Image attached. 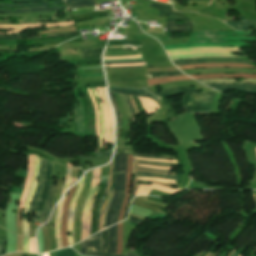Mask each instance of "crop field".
I'll return each instance as SVG.
<instances>
[{"label":"crop field","instance_id":"obj_1","mask_svg":"<svg viewBox=\"0 0 256 256\" xmlns=\"http://www.w3.org/2000/svg\"><path fill=\"white\" fill-rule=\"evenodd\" d=\"M252 31H232V32H192L188 43H178L172 45H165V50L172 48L184 47H203V46H248L244 42H220L233 40L256 41L255 37H223L232 35H250ZM198 41H213L206 43H198Z\"/></svg>","mask_w":256,"mask_h":256},{"label":"crop field","instance_id":"obj_2","mask_svg":"<svg viewBox=\"0 0 256 256\" xmlns=\"http://www.w3.org/2000/svg\"><path fill=\"white\" fill-rule=\"evenodd\" d=\"M215 92L184 94L183 107L188 113L208 115Z\"/></svg>","mask_w":256,"mask_h":256},{"label":"crop field","instance_id":"obj_3","mask_svg":"<svg viewBox=\"0 0 256 256\" xmlns=\"http://www.w3.org/2000/svg\"><path fill=\"white\" fill-rule=\"evenodd\" d=\"M119 180H120V173L112 175V184H111V188H110V197H109V201L107 203V206L104 210L102 229L104 228L105 224H106V227L110 226L111 217H112L113 210H114L115 203H116L117 196H118Z\"/></svg>","mask_w":256,"mask_h":256},{"label":"crop field","instance_id":"obj_4","mask_svg":"<svg viewBox=\"0 0 256 256\" xmlns=\"http://www.w3.org/2000/svg\"><path fill=\"white\" fill-rule=\"evenodd\" d=\"M109 91L124 94L126 101L128 103V107H129L132 118L134 117V112L132 110L130 100L126 95L147 97V98L156 99V100H160V101L163 99V98L153 94L148 89H130V88L109 87Z\"/></svg>","mask_w":256,"mask_h":256},{"label":"crop field","instance_id":"obj_5","mask_svg":"<svg viewBox=\"0 0 256 256\" xmlns=\"http://www.w3.org/2000/svg\"><path fill=\"white\" fill-rule=\"evenodd\" d=\"M39 160H40V157L35 155V164H34L35 173H34L33 183L31 185V189H30V192H29L27 203H26V206H25V209H24V212H23V234H24L25 237H29V231H28V222L24 218V214L29 211L30 202L32 200V197H33L35 189H36Z\"/></svg>","mask_w":256,"mask_h":256},{"label":"crop field","instance_id":"obj_6","mask_svg":"<svg viewBox=\"0 0 256 256\" xmlns=\"http://www.w3.org/2000/svg\"><path fill=\"white\" fill-rule=\"evenodd\" d=\"M84 179L82 178L79 182H78V190L73 198V200L71 201L70 205H69V210H68V220H67V229L68 232L72 231L71 235L68 236V246L73 244V219H74V208H75V204H76V200L82 190L83 187V183H84Z\"/></svg>","mask_w":256,"mask_h":256},{"label":"crop field","instance_id":"obj_7","mask_svg":"<svg viewBox=\"0 0 256 256\" xmlns=\"http://www.w3.org/2000/svg\"><path fill=\"white\" fill-rule=\"evenodd\" d=\"M150 6L159 9V16L161 17L169 16L168 21H171V22L189 21V19H187L181 13L172 12L171 6L169 5L152 3Z\"/></svg>","mask_w":256,"mask_h":256},{"label":"crop field","instance_id":"obj_8","mask_svg":"<svg viewBox=\"0 0 256 256\" xmlns=\"http://www.w3.org/2000/svg\"><path fill=\"white\" fill-rule=\"evenodd\" d=\"M46 162L47 161L44 160V159L41 160L39 184L37 186V190H36V193L34 195V199H33V202H32L31 209H30L29 217H31L32 213L35 212L36 209H37V205H38V202H39V199H40V194H41V191H42L43 182H44L45 174H46Z\"/></svg>","mask_w":256,"mask_h":256},{"label":"crop field","instance_id":"obj_9","mask_svg":"<svg viewBox=\"0 0 256 256\" xmlns=\"http://www.w3.org/2000/svg\"><path fill=\"white\" fill-rule=\"evenodd\" d=\"M212 88H215L219 91H226V90H238L248 93L256 94V84H219V85H208ZM253 89L252 91H249V89Z\"/></svg>","mask_w":256,"mask_h":256},{"label":"crop field","instance_id":"obj_10","mask_svg":"<svg viewBox=\"0 0 256 256\" xmlns=\"http://www.w3.org/2000/svg\"><path fill=\"white\" fill-rule=\"evenodd\" d=\"M175 65L179 64H191V63H203V62H243L251 63L245 60H239L235 58H211V59H187V60H178L173 61Z\"/></svg>","mask_w":256,"mask_h":256},{"label":"crop field","instance_id":"obj_11","mask_svg":"<svg viewBox=\"0 0 256 256\" xmlns=\"http://www.w3.org/2000/svg\"><path fill=\"white\" fill-rule=\"evenodd\" d=\"M13 2H35V1H45L41 3H32V4H9V3H0V7H40L47 6L50 4H59L64 3L63 0L55 1L54 3H48L47 0H11Z\"/></svg>","mask_w":256,"mask_h":256},{"label":"crop field","instance_id":"obj_12","mask_svg":"<svg viewBox=\"0 0 256 256\" xmlns=\"http://www.w3.org/2000/svg\"><path fill=\"white\" fill-rule=\"evenodd\" d=\"M33 163H34V155H29L28 175H27V180H26V184H25V189H24L22 198L20 200L21 205H19V207L22 208V209L24 207V203H25V200H26V197H27V193H28V190L30 188L31 181H32V178H33V172H34Z\"/></svg>","mask_w":256,"mask_h":256},{"label":"crop field","instance_id":"obj_13","mask_svg":"<svg viewBox=\"0 0 256 256\" xmlns=\"http://www.w3.org/2000/svg\"><path fill=\"white\" fill-rule=\"evenodd\" d=\"M52 165H53V163L48 161V163H47V175H46V180H45V184H44L42 196H41V199H40V202H39V206H38V209H37V210H40V211L43 210V206H44V203H45V199H46V196H47V192H48V189H49V187H50Z\"/></svg>","mask_w":256,"mask_h":256},{"label":"crop field","instance_id":"obj_14","mask_svg":"<svg viewBox=\"0 0 256 256\" xmlns=\"http://www.w3.org/2000/svg\"><path fill=\"white\" fill-rule=\"evenodd\" d=\"M125 181H126V174L121 173L120 191H119L118 200H117L116 207H115L114 214H113V218H112V224L117 222V216H118L121 204L123 202V197H124Z\"/></svg>","mask_w":256,"mask_h":256},{"label":"crop field","instance_id":"obj_15","mask_svg":"<svg viewBox=\"0 0 256 256\" xmlns=\"http://www.w3.org/2000/svg\"><path fill=\"white\" fill-rule=\"evenodd\" d=\"M192 26V22L167 23L166 30L167 32H189L192 31Z\"/></svg>","mask_w":256,"mask_h":256},{"label":"crop field","instance_id":"obj_16","mask_svg":"<svg viewBox=\"0 0 256 256\" xmlns=\"http://www.w3.org/2000/svg\"><path fill=\"white\" fill-rule=\"evenodd\" d=\"M97 89H98L99 96L101 97V99L103 101V109H104V117H105V129H106V132H105V135H104V139H105V143H108V139H109L108 107H107V104H106V101H105V98H104V95H103L101 87H98ZM105 143H104V147L103 148H107Z\"/></svg>","mask_w":256,"mask_h":256},{"label":"crop field","instance_id":"obj_17","mask_svg":"<svg viewBox=\"0 0 256 256\" xmlns=\"http://www.w3.org/2000/svg\"><path fill=\"white\" fill-rule=\"evenodd\" d=\"M194 91H196V90L192 89L191 86H186V87L167 89V90H164L162 93H158V94H160L161 96L167 98L169 96L176 95V94H179V93L194 92Z\"/></svg>","mask_w":256,"mask_h":256},{"label":"crop field","instance_id":"obj_18","mask_svg":"<svg viewBox=\"0 0 256 256\" xmlns=\"http://www.w3.org/2000/svg\"><path fill=\"white\" fill-rule=\"evenodd\" d=\"M66 10V6H53V7H47V8H31V9H15L13 11L8 10H0V12H35V11H55L60 9Z\"/></svg>","mask_w":256,"mask_h":256},{"label":"crop field","instance_id":"obj_19","mask_svg":"<svg viewBox=\"0 0 256 256\" xmlns=\"http://www.w3.org/2000/svg\"><path fill=\"white\" fill-rule=\"evenodd\" d=\"M55 189H56L55 186L50 187V190H49V193H48V196H47V200H46V204H45V207H44V210H43L42 218H41L43 223L48 218V214H49V210H50V206H51V202H52V198H53V194H54Z\"/></svg>","mask_w":256,"mask_h":256},{"label":"crop field","instance_id":"obj_20","mask_svg":"<svg viewBox=\"0 0 256 256\" xmlns=\"http://www.w3.org/2000/svg\"><path fill=\"white\" fill-rule=\"evenodd\" d=\"M139 100L141 101L143 107H144V110L146 111V113L149 115L151 113H154L155 109L154 108H158L160 109L159 105L151 100V99H147V98H141V97H138Z\"/></svg>","mask_w":256,"mask_h":256},{"label":"crop field","instance_id":"obj_21","mask_svg":"<svg viewBox=\"0 0 256 256\" xmlns=\"http://www.w3.org/2000/svg\"><path fill=\"white\" fill-rule=\"evenodd\" d=\"M103 49H82L78 50L81 57L85 58H99Z\"/></svg>","mask_w":256,"mask_h":256},{"label":"crop field","instance_id":"obj_22","mask_svg":"<svg viewBox=\"0 0 256 256\" xmlns=\"http://www.w3.org/2000/svg\"><path fill=\"white\" fill-rule=\"evenodd\" d=\"M202 83H256V79H246L235 82L233 79L198 80Z\"/></svg>","mask_w":256,"mask_h":256},{"label":"crop field","instance_id":"obj_23","mask_svg":"<svg viewBox=\"0 0 256 256\" xmlns=\"http://www.w3.org/2000/svg\"><path fill=\"white\" fill-rule=\"evenodd\" d=\"M224 22L226 24H228L229 26H231L232 28L237 29V30H245V29H247V26L256 24V21H240V22L224 21Z\"/></svg>","mask_w":256,"mask_h":256},{"label":"crop field","instance_id":"obj_24","mask_svg":"<svg viewBox=\"0 0 256 256\" xmlns=\"http://www.w3.org/2000/svg\"><path fill=\"white\" fill-rule=\"evenodd\" d=\"M88 90V94L94 104V110H95V117H96V128H97V135L96 136H99L100 135V127H99V108L97 106V103L95 101V98L93 96V93L91 91V89H87Z\"/></svg>","mask_w":256,"mask_h":256},{"label":"crop field","instance_id":"obj_25","mask_svg":"<svg viewBox=\"0 0 256 256\" xmlns=\"http://www.w3.org/2000/svg\"><path fill=\"white\" fill-rule=\"evenodd\" d=\"M106 97V101L109 107V113H110V125H111V135H110V144L113 145L114 143V137H113V129H114V118H113V114H112V110H111V106L109 104V100H108V96H107V92L105 88H102Z\"/></svg>","mask_w":256,"mask_h":256},{"label":"crop field","instance_id":"obj_26","mask_svg":"<svg viewBox=\"0 0 256 256\" xmlns=\"http://www.w3.org/2000/svg\"><path fill=\"white\" fill-rule=\"evenodd\" d=\"M93 91L95 93V96L97 98H99L95 88H93ZM99 107H100V116H101V136H99V147L102 148L103 133H104V118H103V112H102V108H101V100H100V98H99Z\"/></svg>","mask_w":256,"mask_h":256},{"label":"crop field","instance_id":"obj_27","mask_svg":"<svg viewBox=\"0 0 256 256\" xmlns=\"http://www.w3.org/2000/svg\"><path fill=\"white\" fill-rule=\"evenodd\" d=\"M69 5V9H73V8H79V7H89V6H93L95 5L94 0H86V1H82V2H76V3H70L67 4Z\"/></svg>","mask_w":256,"mask_h":256},{"label":"crop field","instance_id":"obj_28","mask_svg":"<svg viewBox=\"0 0 256 256\" xmlns=\"http://www.w3.org/2000/svg\"><path fill=\"white\" fill-rule=\"evenodd\" d=\"M138 176L161 177V178H169V179L179 180L176 177V175H164V174L147 173V172H138Z\"/></svg>","mask_w":256,"mask_h":256},{"label":"crop field","instance_id":"obj_29","mask_svg":"<svg viewBox=\"0 0 256 256\" xmlns=\"http://www.w3.org/2000/svg\"><path fill=\"white\" fill-rule=\"evenodd\" d=\"M120 165H121V153L115 152L113 158V173L120 172Z\"/></svg>","mask_w":256,"mask_h":256},{"label":"crop field","instance_id":"obj_30","mask_svg":"<svg viewBox=\"0 0 256 256\" xmlns=\"http://www.w3.org/2000/svg\"><path fill=\"white\" fill-rule=\"evenodd\" d=\"M41 24L44 23H39V24H33L32 26H29L28 28H35V27H40ZM74 22H63V23H54V24H45L46 27H58V26H69V25H73Z\"/></svg>","mask_w":256,"mask_h":256},{"label":"crop field","instance_id":"obj_31","mask_svg":"<svg viewBox=\"0 0 256 256\" xmlns=\"http://www.w3.org/2000/svg\"><path fill=\"white\" fill-rule=\"evenodd\" d=\"M108 178L109 176H105V177H102L101 178V182H106V186H105V192H104V196L99 204V212H98V219H97V230H99V219H100V211H101V205H102V202L106 196V190H107V185H108Z\"/></svg>","mask_w":256,"mask_h":256},{"label":"crop field","instance_id":"obj_32","mask_svg":"<svg viewBox=\"0 0 256 256\" xmlns=\"http://www.w3.org/2000/svg\"><path fill=\"white\" fill-rule=\"evenodd\" d=\"M116 228H117V225L112 227V237H111L112 247H111L110 253H114V254L116 251V242H117Z\"/></svg>","mask_w":256,"mask_h":256},{"label":"crop field","instance_id":"obj_33","mask_svg":"<svg viewBox=\"0 0 256 256\" xmlns=\"http://www.w3.org/2000/svg\"><path fill=\"white\" fill-rule=\"evenodd\" d=\"M138 180L158 181V182H161V183H174L173 180L160 179V178H149V177H138Z\"/></svg>","mask_w":256,"mask_h":256},{"label":"crop field","instance_id":"obj_34","mask_svg":"<svg viewBox=\"0 0 256 256\" xmlns=\"http://www.w3.org/2000/svg\"><path fill=\"white\" fill-rule=\"evenodd\" d=\"M75 107V123H76V131L77 133L80 132L79 123H80V112L77 106V103H74Z\"/></svg>","mask_w":256,"mask_h":256},{"label":"crop field","instance_id":"obj_35","mask_svg":"<svg viewBox=\"0 0 256 256\" xmlns=\"http://www.w3.org/2000/svg\"><path fill=\"white\" fill-rule=\"evenodd\" d=\"M56 256H74V251L70 248L56 251Z\"/></svg>","mask_w":256,"mask_h":256},{"label":"crop field","instance_id":"obj_36","mask_svg":"<svg viewBox=\"0 0 256 256\" xmlns=\"http://www.w3.org/2000/svg\"><path fill=\"white\" fill-rule=\"evenodd\" d=\"M110 93V99L114 105V109H115V112L117 114V126H121V119H120V116H119V112H118V109H117V104H116V100L113 96V93L109 92Z\"/></svg>","mask_w":256,"mask_h":256},{"label":"crop field","instance_id":"obj_37","mask_svg":"<svg viewBox=\"0 0 256 256\" xmlns=\"http://www.w3.org/2000/svg\"><path fill=\"white\" fill-rule=\"evenodd\" d=\"M73 35H78V33L73 32V33H65V34H49L44 38H60V37H67V36H73ZM39 39H41V38H39Z\"/></svg>","mask_w":256,"mask_h":256},{"label":"crop field","instance_id":"obj_38","mask_svg":"<svg viewBox=\"0 0 256 256\" xmlns=\"http://www.w3.org/2000/svg\"><path fill=\"white\" fill-rule=\"evenodd\" d=\"M137 157L154 158V159H175L174 156H151V155H139L134 154Z\"/></svg>","mask_w":256,"mask_h":256},{"label":"crop field","instance_id":"obj_39","mask_svg":"<svg viewBox=\"0 0 256 256\" xmlns=\"http://www.w3.org/2000/svg\"><path fill=\"white\" fill-rule=\"evenodd\" d=\"M107 230L103 231L102 233V249L101 251L106 252L107 251Z\"/></svg>","mask_w":256,"mask_h":256},{"label":"crop field","instance_id":"obj_40","mask_svg":"<svg viewBox=\"0 0 256 256\" xmlns=\"http://www.w3.org/2000/svg\"><path fill=\"white\" fill-rule=\"evenodd\" d=\"M30 24L27 25H0V29H20V28H26Z\"/></svg>","mask_w":256,"mask_h":256},{"label":"crop field","instance_id":"obj_41","mask_svg":"<svg viewBox=\"0 0 256 256\" xmlns=\"http://www.w3.org/2000/svg\"><path fill=\"white\" fill-rule=\"evenodd\" d=\"M78 102H79V107H80V112H81V118H82V123H81V129H82V135L86 136L85 134V128H84V115H83V108L81 106L80 98L78 97Z\"/></svg>","mask_w":256,"mask_h":256},{"label":"crop field","instance_id":"obj_42","mask_svg":"<svg viewBox=\"0 0 256 256\" xmlns=\"http://www.w3.org/2000/svg\"><path fill=\"white\" fill-rule=\"evenodd\" d=\"M126 162H127V154L122 153L121 172H126Z\"/></svg>","mask_w":256,"mask_h":256},{"label":"crop field","instance_id":"obj_43","mask_svg":"<svg viewBox=\"0 0 256 256\" xmlns=\"http://www.w3.org/2000/svg\"><path fill=\"white\" fill-rule=\"evenodd\" d=\"M30 252L37 253L34 238H30Z\"/></svg>","mask_w":256,"mask_h":256},{"label":"crop field","instance_id":"obj_44","mask_svg":"<svg viewBox=\"0 0 256 256\" xmlns=\"http://www.w3.org/2000/svg\"><path fill=\"white\" fill-rule=\"evenodd\" d=\"M29 251V238H24V252Z\"/></svg>","mask_w":256,"mask_h":256},{"label":"crop field","instance_id":"obj_45","mask_svg":"<svg viewBox=\"0 0 256 256\" xmlns=\"http://www.w3.org/2000/svg\"><path fill=\"white\" fill-rule=\"evenodd\" d=\"M141 57V55L136 56H129V57H104V59H117V58H138Z\"/></svg>","mask_w":256,"mask_h":256},{"label":"crop field","instance_id":"obj_46","mask_svg":"<svg viewBox=\"0 0 256 256\" xmlns=\"http://www.w3.org/2000/svg\"><path fill=\"white\" fill-rule=\"evenodd\" d=\"M136 62H144L143 60H137V61H123V62H104V64L109 63H136Z\"/></svg>","mask_w":256,"mask_h":256},{"label":"crop field","instance_id":"obj_47","mask_svg":"<svg viewBox=\"0 0 256 256\" xmlns=\"http://www.w3.org/2000/svg\"><path fill=\"white\" fill-rule=\"evenodd\" d=\"M0 39H21L20 36H0Z\"/></svg>","mask_w":256,"mask_h":256},{"label":"crop field","instance_id":"obj_48","mask_svg":"<svg viewBox=\"0 0 256 256\" xmlns=\"http://www.w3.org/2000/svg\"><path fill=\"white\" fill-rule=\"evenodd\" d=\"M135 158V157H133ZM135 159H141V158H135ZM142 160H149V161H159V162H173V163H177L176 160L174 161H168V160H151V159H142Z\"/></svg>","mask_w":256,"mask_h":256},{"label":"crop field","instance_id":"obj_49","mask_svg":"<svg viewBox=\"0 0 256 256\" xmlns=\"http://www.w3.org/2000/svg\"><path fill=\"white\" fill-rule=\"evenodd\" d=\"M136 65H145V63H140V64H123V65H104V66H136Z\"/></svg>","mask_w":256,"mask_h":256},{"label":"crop field","instance_id":"obj_50","mask_svg":"<svg viewBox=\"0 0 256 256\" xmlns=\"http://www.w3.org/2000/svg\"><path fill=\"white\" fill-rule=\"evenodd\" d=\"M4 254V241L0 240V256Z\"/></svg>","mask_w":256,"mask_h":256},{"label":"crop field","instance_id":"obj_51","mask_svg":"<svg viewBox=\"0 0 256 256\" xmlns=\"http://www.w3.org/2000/svg\"><path fill=\"white\" fill-rule=\"evenodd\" d=\"M139 162L153 163V164H162V165H176V164H170V163L148 162V161H141V160H139Z\"/></svg>","mask_w":256,"mask_h":256},{"label":"crop field","instance_id":"obj_52","mask_svg":"<svg viewBox=\"0 0 256 256\" xmlns=\"http://www.w3.org/2000/svg\"><path fill=\"white\" fill-rule=\"evenodd\" d=\"M21 31H23V30H11V31L6 32L5 34H19Z\"/></svg>","mask_w":256,"mask_h":256},{"label":"crop field","instance_id":"obj_53","mask_svg":"<svg viewBox=\"0 0 256 256\" xmlns=\"http://www.w3.org/2000/svg\"><path fill=\"white\" fill-rule=\"evenodd\" d=\"M99 75H103V73L94 74V75H87V76H75V78H83V77H91V76H99Z\"/></svg>","mask_w":256,"mask_h":256},{"label":"crop field","instance_id":"obj_54","mask_svg":"<svg viewBox=\"0 0 256 256\" xmlns=\"http://www.w3.org/2000/svg\"><path fill=\"white\" fill-rule=\"evenodd\" d=\"M112 151H107V152H102V153H94V156H99V155H105V154H111Z\"/></svg>","mask_w":256,"mask_h":256},{"label":"crop field","instance_id":"obj_55","mask_svg":"<svg viewBox=\"0 0 256 256\" xmlns=\"http://www.w3.org/2000/svg\"><path fill=\"white\" fill-rule=\"evenodd\" d=\"M110 236H111V228H109V236H108V244H109V247H108V253H109V251H110V246H111V244H110Z\"/></svg>","mask_w":256,"mask_h":256},{"label":"crop field","instance_id":"obj_56","mask_svg":"<svg viewBox=\"0 0 256 256\" xmlns=\"http://www.w3.org/2000/svg\"><path fill=\"white\" fill-rule=\"evenodd\" d=\"M136 67H142V66H136ZM117 68H134V67H105V69H117Z\"/></svg>","mask_w":256,"mask_h":256},{"label":"crop field","instance_id":"obj_57","mask_svg":"<svg viewBox=\"0 0 256 256\" xmlns=\"http://www.w3.org/2000/svg\"><path fill=\"white\" fill-rule=\"evenodd\" d=\"M109 156H110V155L100 156V157H80V158L97 159V158H105V157H109Z\"/></svg>","mask_w":256,"mask_h":256},{"label":"crop field","instance_id":"obj_58","mask_svg":"<svg viewBox=\"0 0 256 256\" xmlns=\"http://www.w3.org/2000/svg\"><path fill=\"white\" fill-rule=\"evenodd\" d=\"M130 222H133V223L138 224V225L142 224V222L131 219V218H130Z\"/></svg>","mask_w":256,"mask_h":256},{"label":"crop field","instance_id":"obj_59","mask_svg":"<svg viewBox=\"0 0 256 256\" xmlns=\"http://www.w3.org/2000/svg\"><path fill=\"white\" fill-rule=\"evenodd\" d=\"M139 166H142V165H139ZM142 167L157 168V169H167V170H170V169H171V168H158V167H151V166H142Z\"/></svg>","mask_w":256,"mask_h":256},{"label":"crop field","instance_id":"obj_60","mask_svg":"<svg viewBox=\"0 0 256 256\" xmlns=\"http://www.w3.org/2000/svg\"><path fill=\"white\" fill-rule=\"evenodd\" d=\"M138 169H148V168H138ZM148 170H155V171H166V170H156V169H148ZM166 172H171V171H166Z\"/></svg>","mask_w":256,"mask_h":256},{"label":"crop field","instance_id":"obj_61","mask_svg":"<svg viewBox=\"0 0 256 256\" xmlns=\"http://www.w3.org/2000/svg\"><path fill=\"white\" fill-rule=\"evenodd\" d=\"M66 3H69V2H75V1H81V0H65Z\"/></svg>","mask_w":256,"mask_h":256},{"label":"crop field","instance_id":"obj_62","mask_svg":"<svg viewBox=\"0 0 256 256\" xmlns=\"http://www.w3.org/2000/svg\"><path fill=\"white\" fill-rule=\"evenodd\" d=\"M221 256H227V253L223 252V254Z\"/></svg>","mask_w":256,"mask_h":256},{"label":"crop field","instance_id":"obj_63","mask_svg":"<svg viewBox=\"0 0 256 256\" xmlns=\"http://www.w3.org/2000/svg\"><path fill=\"white\" fill-rule=\"evenodd\" d=\"M67 166L72 167V164H70V163L68 162Z\"/></svg>","mask_w":256,"mask_h":256},{"label":"crop field","instance_id":"obj_64","mask_svg":"<svg viewBox=\"0 0 256 256\" xmlns=\"http://www.w3.org/2000/svg\"><path fill=\"white\" fill-rule=\"evenodd\" d=\"M235 253H236V250L234 251V253H233V255H232V256H234V255H235Z\"/></svg>","mask_w":256,"mask_h":256},{"label":"crop field","instance_id":"obj_65","mask_svg":"<svg viewBox=\"0 0 256 256\" xmlns=\"http://www.w3.org/2000/svg\"><path fill=\"white\" fill-rule=\"evenodd\" d=\"M235 256H239V254H236Z\"/></svg>","mask_w":256,"mask_h":256},{"label":"crop field","instance_id":"obj_66","mask_svg":"<svg viewBox=\"0 0 256 256\" xmlns=\"http://www.w3.org/2000/svg\"><path fill=\"white\" fill-rule=\"evenodd\" d=\"M240 256H242V255H240Z\"/></svg>","mask_w":256,"mask_h":256},{"label":"crop field","instance_id":"obj_67","mask_svg":"<svg viewBox=\"0 0 256 256\" xmlns=\"http://www.w3.org/2000/svg\"><path fill=\"white\" fill-rule=\"evenodd\" d=\"M256 149V148H255Z\"/></svg>","mask_w":256,"mask_h":256}]
</instances>
